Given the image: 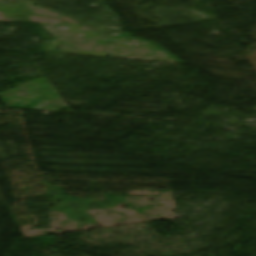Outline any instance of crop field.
<instances>
[{"label":"crop field","instance_id":"8a807250","mask_svg":"<svg viewBox=\"0 0 256 256\" xmlns=\"http://www.w3.org/2000/svg\"><path fill=\"white\" fill-rule=\"evenodd\" d=\"M246 58L251 63V65L254 67V69L256 70V56H250V57H246Z\"/></svg>","mask_w":256,"mask_h":256}]
</instances>
